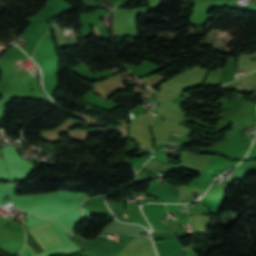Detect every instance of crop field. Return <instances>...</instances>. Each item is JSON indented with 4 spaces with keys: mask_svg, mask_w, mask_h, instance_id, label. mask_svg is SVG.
I'll list each match as a JSON object with an SVG mask.
<instances>
[{
    "mask_svg": "<svg viewBox=\"0 0 256 256\" xmlns=\"http://www.w3.org/2000/svg\"><path fill=\"white\" fill-rule=\"evenodd\" d=\"M30 230V229H29ZM36 243L41 248L42 252L65 246L54 227L45 223L29 231ZM29 247V246H28ZM30 248V247H29Z\"/></svg>",
    "mask_w": 256,
    "mask_h": 256,
    "instance_id": "8a807250",
    "label": "crop field"
},
{
    "mask_svg": "<svg viewBox=\"0 0 256 256\" xmlns=\"http://www.w3.org/2000/svg\"><path fill=\"white\" fill-rule=\"evenodd\" d=\"M93 29L94 30H96V29H98L97 27H93ZM95 32V35L97 36V37H99L100 38V34H99V31L98 30H96V31H94Z\"/></svg>",
    "mask_w": 256,
    "mask_h": 256,
    "instance_id": "ac0d7876",
    "label": "crop field"
},
{
    "mask_svg": "<svg viewBox=\"0 0 256 256\" xmlns=\"http://www.w3.org/2000/svg\"><path fill=\"white\" fill-rule=\"evenodd\" d=\"M5 50H6V48L0 45V55H1Z\"/></svg>",
    "mask_w": 256,
    "mask_h": 256,
    "instance_id": "34b2d1b8",
    "label": "crop field"
},
{
    "mask_svg": "<svg viewBox=\"0 0 256 256\" xmlns=\"http://www.w3.org/2000/svg\"><path fill=\"white\" fill-rule=\"evenodd\" d=\"M124 218H126V214H124Z\"/></svg>",
    "mask_w": 256,
    "mask_h": 256,
    "instance_id": "412701ff",
    "label": "crop field"
},
{
    "mask_svg": "<svg viewBox=\"0 0 256 256\" xmlns=\"http://www.w3.org/2000/svg\"><path fill=\"white\" fill-rule=\"evenodd\" d=\"M180 136V135H179Z\"/></svg>",
    "mask_w": 256,
    "mask_h": 256,
    "instance_id": "f4fd0767",
    "label": "crop field"
}]
</instances>
